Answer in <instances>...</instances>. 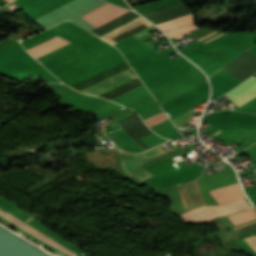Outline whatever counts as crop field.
<instances>
[{
	"label": "crop field",
	"instance_id": "2",
	"mask_svg": "<svg viewBox=\"0 0 256 256\" xmlns=\"http://www.w3.org/2000/svg\"><path fill=\"white\" fill-rule=\"evenodd\" d=\"M138 79L139 78L135 79L134 76L126 70L81 92L102 97Z\"/></svg>",
	"mask_w": 256,
	"mask_h": 256
},
{
	"label": "crop field",
	"instance_id": "6",
	"mask_svg": "<svg viewBox=\"0 0 256 256\" xmlns=\"http://www.w3.org/2000/svg\"><path fill=\"white\" fill-rule=\"evenodd\" d=\"M228 218L231 220V222L234 225L245 223L247 221L253 220L256 218V212L254 209L250 208L248 210H245L241 213L228 216Z\"/></svg>",
	"mask_w": 256,
	"mask_h": 256
},
{
	"label": "crop field",
	"instance_id": "1",
	"mask_svg": "<svg viewBox=\"0 0 256 256\" xmlns=\"http://www.w3.org/2000/svg\"><path fill=\"white\" fill-rule=\"evenodd\" d=\"M166 152L168 151L161 145L147 150L141 154H131L120 151V161L124 171L131 177L140 181L152 177V175L139 164L158 157Z\"/></svg>",
	"mask_w": 256,
	"mask_h": 256
},
{
	"label": "crop field",
	"instance_id": "4",
	"mask_svg": "<svg viewBox=\"0 0 256 256\" xmlns=\"http://www.w3.org/2000/svg\"><path fill=\"white\" fill-rule=\"evenodd\" d=\"M225 95L238 107L243 105L256 96V78L246 81Z\"/></svg>",
	"mask_w": 256,
	"mask_h": 256
},
{
	"label": "crop field",
	"instance_id": "5",
	"mask_svg": "<svg viewBox=\"0 0 256 256\" xmlns=\"http://www.w3.org/2000/svg\"><path fill=\"white\" fill-rule=\"evenodd\" d=\"M219 204L244 197L238 183L211 192Z\"/></svg>",
	"mask_w": 256,
	"mask_h": 256
},
{
	"label": "crop field",
	"instance_id": "8",
	"mask_svg": "<svg viewBox=\"0 0 256 256\" xmlns=\"http://www.w3.org/2000/svg\"><path fill=\"white\" fill-rule=\"evenodd\" d=\"M191 115H193V110L190 109L186 111L185 113L179 115L178 117L172 119L176 127L190 121Z\"/></svg>",
	"mask_w": 256,
	"mask_h": 256
},
{
	"label": "crop field",
	"instance_id": "9",
	"mask_svg": "<svg viewBox=\"0 0 256 256\" xmlns=\"http://www.w3.org/2000/svg\"><path fill=\"white\" fill-rule=\"evenodd\" d=\"M152 114V113H151ZM165 113L163 112V110H160V111H158V112H156V113H154V114H152V115H150V116H148V117H146V118H144V121H145V123H147V122H149V121H151V120H153V119H156V118H158V117H160V116H162V115H164Z\"/></svg>",
	"mask_w": 256,
	"mask_h": 256
},
{
	"label": "crop field",
	"instance_id": "10",
	"mask_svg": "<svg viewBox=\"0 0 256 256\" xmlns=\"http://www.w3.org/2000/svg\"><path fill=\"white\" fill-rule=\"evenodd\" d=\"M223 34H225V33H222V34H220V35H218V36H216V37H214V38H212V39H209V40H207V41H205V42H203V43H206V42H208V41H211V40H213V39H215V38H217V37H219V36H221V35H223Z\"/></svg>",
	"mask_w": 256,
	"mask_h": 256
},
{
	"label": "crop field",
	"instance_id": "3",
	"mask_svg": "<svg viewBox=\"0 0 256 256\" xmlns=\"http://www.w3.org/2000/svg\"><path fill=\"white\" fill-rule=\"evenodd\" d=\"M126 12H128V10L106 3L80 17L97 28Z\"/></svg>",
	"mask_w": 256,
	"mask_h": 256
},
{
	"label": "crop field",
	"instance_id": "7",
	"mask_svg": "<svg viewBox=\"0 0 256 256\" xmlns=\"http://www.w3.org/2000/svg\"><path fill=\"white\" fill-rule=\"evenodd\" d=\"M193 37H195L198 41L216 33L215 31H211V30H207L204 28L198 29V30H194V31H190L189 32Z\"/></svg>",
	"mask_w": 256,
	"mask_h": 256
}]
</instances>
